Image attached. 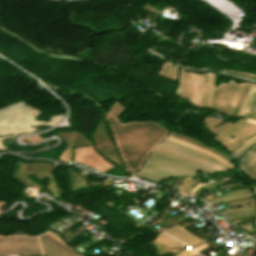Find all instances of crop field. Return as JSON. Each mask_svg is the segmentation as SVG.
<instances>
[{
    "label": "crop field",
    "mask_w": 256,
    "mask_h": 256,
    "mask_svg": "<svg viewBox=\"0 0 256 256\" xmlns=\"http://www.w3.org/2000/svg\"><path fill=\"white\" fill-rule=\"evenodd\" d=\"M108 120L126 164L135 171L148 151L167 133L154 122L119 125L110 116Z\"/></svg>",
    "instance_id": "8a807250"
},
{
    "label": "crop field",
    "mask_w": 256,
    "mask_h": 256,
    "mask_svg": "<svg viewBox=\"0 0 256 256\" xmlns=\"http://www.w3.org/2000/svg\"><path fill=\"white\" fill-rule=\"evenodd\" d=\"M165 140H166V141H169V140H167V139H165ZM169 142H172V141H169ZM169 142L163 141V142L161 143V145H164V146H166V147H169V148L175 149V150H177V151L186 153V154H188V155L194 156V157L199 158V159H201V160H203V161H207V162L213 164L214 166H216V167H217L218 169H220L221 171L227 169V168H226V167H227L226 165H225V166H226V167H225V166H223L224 164L222 165V164H220V163H218V162H216V161H213V160H211V159H209V158H207V157L201 155L202 153L199 154L200 152H199V153H196V152H198V151L193 152V151H195V150L191 149V150H193V151H191V150H188V149H190V148H188V147L183 146V147H185V148H188V149H185V148H183V147H180V146H182V145H180V144H177V143H175V142H172V143H174V144L180 145V146H177V145H174V144L169 143ZM158 147L163 148V147H161V146H158ZM163 149H166V148H163ZM163 149H162V150H163ZM166 150H168V149H166ZM166 150H165V151H166ZM156 151L161 152V153H164V154L169 155V156H171V157L180 159V158H178V157H175V156H173V155L167 154V153L162 152V151H160V150H157V149H156ZM156 151H154L151 156H154V157H156V158L162 159V160H164V161H167V162H169V163H172V164H174V165H177V166H179V167L188 169V170L193 171V172H195L198 167H200V168H202V169H205V170H207V171H213V170H215V169H213V168H212L213 170H210V169H207V168H205V167H202V166L196 165V164H194V163L188 162V161H186V160L180 159V160H182V161H185V162H188V163H191V164H193V165L198 166V167H196V166H193V165H191V164H188V163L179 161V160H177V159L171 158V157H169V156L163 155V154L158 153V152H156ZM169 151H171V150H169ZM169 151H168V152H169ZM172 152H174V151H172ZM172 152H170V153H172ZM174 153H176V152H174ZM174 153H173V154H174ZM177 154H179V153H177ZM177 154H176V155H177ZM179 155H181V154H179ZM179 155H178V156H179ZM204 155H205V154H204ZM151 156L149 157V159H148L146 165L143 167V169L137 174V176H139V177H141V178H143V179H146V180L158 182V181H160V180H162V179H164V178H166V177H179V176H185V175H191V174H193V172H190V171H187V170H185V169L179 168V167H177V166H174V165L169 164V163H167V162H164V161H161V160H159V159L153 158V157H151ZM181 156H184V155H181ZM206 156H208V155H206ZM184 157H186V156H184ZM184 157H183V158H184ZM208 157H210V156H208ZM186 158H189V157H186ZM186 158H185V159H186ZM210 158H212V157H210ZM189 159H192V158H189ZM189 159H188V160H189ZM212 159H213V158H212ZM192 160H194V159H192ZM192 160H190V161H192ZM214 160H215V159H214ZM195 161H197V160H195ZM195 161H192V162H195ZM198 162H199V161H198ZM198 162H195V163H198ZM198 164H200V163H198ZM201 165H202V164H201ZM210 168H211V167H210ZM215 171H217V170H215Z\"/></svg>",
    "instance_id": "ac0d7876"
},
{
    "label": "crop field",
    "mask_w": 256,
    "mask_h": 256,
    "mask_svg": "<svg viewBox=\"0 0 256 256\" xmlns=\"http://www.w3.org/2000/svg\"><path fill=\"white\" fill-rule=\"evenodd\" d=\"M213 84L214 74L207 73V107L231 114L246 83L238 85L230 81L229 84L222 83L215 88Z\"/></svg>",
    "instance_id": "34b2d1b8"
},
{
    "label": "crop field",
    "mask_w": 256,
    "mask_h": 256,
    "mask_svg": "<svg viewBox=\"0 0 256 256\" xmlns=\"http://www.w3.org/2000/svg\"><path fill=\"white\" fill-rule=\"evenodd\" d=\"M38 240L37 237H0V241ZM42 254L38 241L0 242V256Z\"/></svg>",
    "instance_id": "412701ff"
},
{
    "label": "crop field",
    "mask_w": 256,
    "mask_h": 256,
    "mask_svg": "<svg viewBox=\"0 0 256 256\" xmlns=\"http://www.w3.org/2000/svg\"><path fill=\"white\" fill-rule=\"evenodd\" d=\"M247 121H243V120H239V121H237V122H235L233 125H231L230 127H228L226 130H224L223 132H221L220 134H218L217 136H215L214 138H216V139H221L224 135L225 136H227V135H229L231 132H233L234 130H236L237 128H239L240 126H242L243 124H245ZM256 124H254V123H251V122H248V123H246L245 125H243L242 127H240L239 129H237L236 131H234L232 134H230V135H233V136H235V137H238V136H240L241 134H243L245 131H247V130H249L250 128H252L253 126H255ZM256 128V126L255 127H253L252 129H250L249 131H247V132H245L243 135H241L240 137H242V136H244V135H246V134H248V133H250L251 131H253L254 129ZM254 132H256V130H254L253 132H251V133H254ZM250 133V134H251ZM229 135V136H230ZM249 135V134H248ZM229 136H227V137H225V138H222L220 141L222 142V143H224L225 145L226 144H228V143H230L231 141H233L234 139H232L231 137H229ZM247 136V135H246ZM239 137V138H240ZM245 137V136H244ZM239 138H237V139H239ZM243 138V137H242ZM242 138H240L239 140H237V139H235L233 142H235L236 140V142L235 143H230V144H228V145H226V146H229V145H231V146H229L228 147V150H230L231 148H233V146L235 145V144H237Z\"/></svg>",
    "instance_id": "f4fd0767"
},
{
    "label": "crop field",
    "mask_w": 256,
    "mask_h": 256,
    "mask_svg": "<svg viewBox=\"0 0 256 256\" xmlns=\"http://www.w3.org/2000/svg\"><path fill=\"white\" fill-rule=\"evenodd\" d=\"M41 236L44 237L45 239L51 241L52 243L56 244L57 246L63 248L64 250L68 251L69 253H71L75 256H78L72 250H70L69 248L64 246L62 244V242L59 240V238L54 236L53 234L47 232ZM42 237L39 236L44 255H46V256H73V255L69 254L68 252L62 250L61 248L57 247L56 245L45 240Z\"/></svg>",
    "instance_id": "dd49c442"
},
{
    "label": "crop field",
    "mask_w": 256,
    "mask_h": 256,
    "mask_svg": "<svg viewBox=\"0 0 256 256\" xmlns=\"http://www.w3.org/2000/svg\"><path fill=\"white\" fill-rule=\"evenodd\" d=\"M192 80H193V95H192L191 73H188L182 70L179 78L180 85L177 93L180 95L186 96L188 98H190V96L192 95L191 103L195 104V80H194L193 73H192Z\"/></svg>",
    "instance_id": "e52e79f7"
},
{
    "label": "crop field",
    "mask_w": 256,
    "mask_h": 256,
    "mask_svg": "<svg viewBox=\"0 0 256 256\" xmlns=\"http://www.w3.org/2000/svg\"><path fill=\"white\" fill-rule=\"evenodd\" d=\"M165 232L172 235L173 237L183 241L187 245H190L199 240V239H197L198 237L197 238L194 237L193 235H191L184 229L178 227L177 225L165 230Z\"/></svg>",
    "instance_id": "d8731c3e"
},
{
    "label": "crop field",
    "mask_w": 256,
    "mask_h": 256,
    "mask_svg": "<svg viewBox=\"0 0 256 256\" xmlns=\"http://www.w3.org/2000/svg\"><path fill=\"white\" fill-rule=\"evenodd\" d=\"M171 136L176 137V138H178V139H181V140H183V141L189 142V143H191V144L197 145V146H199V147L205 148V149H207V150H209V151H211V152H213V153H215V154H217V155H219V156L225 158V159H226L227 161H229V162L233 160V159H231L230 157L226 156L225 154H223V153H221V152H219V151H217V150H215V149H213V148H211V147H209V146H206V145H204V144H201V143H199V142L196 141V140H193V139H191V138H188V137H186V136H183V135H181V134H178V133L173 132V133L171 134Z\"/></svg>",
    "instance_id": "5a996713"
},
{
    "label": "crop field",
    "mask_w": 256,
    "mask_h": 256,
    "mask_svg": "<svg viewBox=\"0 0 256 256\" xmlns=\"http://www.w3.org/2000/svg\"><path fill=\"white\" fill-rule=\"evenodd\" d=\"M156 241H158L159 243L163 244L164 246H166L167 248L171 249L173 247H177V248H184L186 245L180 243L179 241L173 239L172 237L164 234V233H160L159 237L156 239Z\"/></svg>",
    "instance_id": "3316defc"
},
{
    "label": "crop field",
    "mask_w": 256,
    "mask_h": 256,
    "mask_svg": "<svg viewBox=\"0 0 256 256\" xmlns=\"http://www.w3.org/2000/svg\"><path fill=\"white\" fill-rule=\"evenodd\" d=\"M231 194L220 196L218 198H215L213 200H209L212 204L222 202L227 199H234V198H242V197H249L251 196L249 191L247 189L244 190H238V191H232Z\"/></svg>",
    "instance_id": "28ad6ade"
},
{
    "label": "crop field",
    "mask_w": 256,
    "mask_h": 256,
    "mask_svg": "<svg viewBox=\"0 0 256 256\" xmlns=\"http://www.w3.org/2000/svg\"><path fill=\"white\" fill-rule=\"evenodd\" d=\"M204 122H205L206 128L211 130L212 128H214L215 125L219 124L222 121L221 120H217V119H213V118H208V119L204 120ZM229 125H231V123L227 122V123H224V124H222V125H220L218 127H215L211 131H213V132L218 134L219 132H221L223 129H225Z\"/></svg>",
    "instance_id": "d1516ede"
},
{
    "label": "crop field",
    "mask_w": 256,
    "mask_h": 256,
    "mask_svg": "<svg viewBox=\"0 0 256 256\" xmlns=\"http://www.w3.org/2000/svg\"><path fill=\"white\" fill-rule=\"evenodd\" d=\"M167 139L172 140V141H175V142L180 143V144H182V145L188 146V147H190V148L197 149V150L202 151V152L205 151V150L202 149V148H199V147L193 146V145H191V144H188V143H186V142L180 141V140H178V139H176V138H173V137H171V136L167 137ZM205 153L207 154L208 151H206ZM208 155H210V156H212V157H214V158L218 157V156H216V155H214V154H212V153H210V152L208 153ZM216 159L219 160V161H221V162H223V163H225V164H226L227 166H229L230 168L234 167V166L230 165L227 161H225L224 159H222L221 157H218V158H216Z\"/></svg>",
    "instance_id": "22f410ed"
},
{
    "label": "crop field",
    "mask_w": 256,
    "mask_h": 256,
    "mask_svg": "<svg viewBox=\"0 0 256 256\" xmlns=\"http://www.w3.org/2000/svg\"><path fill=\"white\" fill-rule=\"evenodd\" d=\"M255 209L256 208L244 209V210H238V211H229V212L224 213V214L226 216H230V215H233V214L243 213L241 215L228 217L230 220H234V219H238V218H241V217L254 215Z\"/></svg>",
    "instance_id": "cbeb9de0"
},
{
    "label": "crop field",
    "mask_w": 256,
    "mask_h": 256,
    "mask_svg": "<svg viewBox=\"0 0 256 256\" xmlns=\"http://www.w3.org/2000/svg\"><path fill=\"white\" fill-rule=\"evenodd\" d=\"M177 69H178L177 67H174V66H171L168 64H164L163 69L161 71V75H164L166 77L173 79Z\"/></svg>",
    "instance_id": "5142ce71"
},
{
    "label": "crop field",
    "mask_w": 256,
    "mask_h": 256,
    "mask_svg": "<svg viewBox=\"0 0 256 256\" xmlns=\"http://www.w3.org/2000/svg\"><path fill=\"white\" fill-rule=\"evenodd\" d=\"M200 96H199V103L203 105V74H200ZM204 106L206 107V85H205V73H204Z\"/></svg>",
    "instance_id": "d9b57169"
},
{
    "label": "crop field",
    "mask_w": 256,
    "mask_h": 256,
    "mask_svg": "<svg viewBox=\"0 0 256 256\" xmlns=\"http://www.w3.org/2000/svg\"><path fill=\"white\" fill-rule=\"evenodd\" d=\"M250 86H251V84H249V83L246 84L244 92H243V94H242V96H241V98H240V100H239V102H238L234 112H233L234 115H237V113H238V111H239V109H240V107H241V105H242V103H243V101H244L248 91H249Z\"/></svg>",
    "instance_id": "733c2abd"
},
{
    "label": "crop field",
    "mask_w": 256,
    "mask_h": 256,
    "mask_svg": "<svg viewBox=\"0 0 256 256\" xmlns=\"http://www.w3.org/2000/svg\"><path fill=\"white\" fill-rule=\"evenodd\" d=\"M255 96H256V86H255V88H254V90H253V92H252V94H251V96H250V98H249V100H248V102H247V104H246V106L244 108V111H243L241 116H244V117L246 116V114H247V112H248V110H249V108H250V106H251Z\"/></svg>",
    "instance_id": "4a817a6b"
},
{
    "label": "crop field",
    "mask_w": 256,
    "mask_h": 256,
    "mask_svg": "<svg viewBox=\"0 0 256 256\" xmlns=\"http://www.w3.org/2000/svg\"><path fill=\"white\" fill-rule=\"evenodd\" d=\"M228 71H230V70H228ZM228 71H224V70H223L222 72L227 73V74H232V75L241 76V77L248 78V79H251V80L256 81V79L246 77V76H249V75H252V74L246 75V74H242V73H239V72H236V71H231V72L239 73V74H242V75H246V76H242V75H238V74L231 73V72H228ZM253 76H256V75H253ZM253 76H250V77H253ZM254 78H256V77H254Z\"/></svg>",
    "instance_id": "bc2a9ffb"
},
{
    "label": "crop field",
    "mask_w": 256,
    "mask_h": 256,
    "mask_svg": "<svg viewBox=\"0 0 256 256\" xmlns=\"http://www.w3.org/2000/svg\"><path fill=\"white\" fill-rule=\"evenodd\" d=\"M256 143V139L249 143L246 147H244L238 154L235 155V157H239L241 154H243L251 145Z\"/></svg>",
    "instance_id": "214f88e0"
},
{
    "label": "crop field",
    "mask_w": 256,
    "mask_h": 256,
    "mask_svg": "<svg viewBox=\"0 0 256 256\" xmlns=\"http://www.w3.org/2000/svg\"><path fill=\"white\" fill-rule=\"evenodd\" d=\"M195 79H196V102H198V96H199V79L197 77V74H195Z\"/></svg>",
    "instance_id": "92a150f3"
},
{
    "label": "crop field",
    "mask_w": 256,
    "mask_h": 256,
    "mask_svg": "<svg viewBox=\"0 0 256 256\" xmlns=\"http://www.w3.org/2000/svg\"><path fill=\"white\" fill-rule=\"evenodd\" d=\"M255 138H256V135L253 136V137H251V138L248 139L247 141H245L239 148H237V150H236L235 152L238 153V151H239L240 149H242L245 145H247L249 142H251V141L254 140Z\"/></svg>",
    "instance_id": "dafd665d"
},
{
    "label": "crop field",
    "mask_w": 256,
    "mask_h": 256,
    "mask_svg": "<svg viewBox=\"0 0 256 256\" xmlns=\"http://www.w3.org/2000/svg\"><path fill=\"white\" fill-rule=\"evenodd\" d=\"M253 87H254V84L252 85V87H251V89H250V91H249V93H248V95H247V97H246V99H245V101H244V104H243V106H242V108H241V110H240V112H239V116L241 115V113H242V111H243V108H244V106H245V104H246V102H247V100H248V98H249V96H250V94H251V91H252V89H253Z\"/></svg>",
    "instance_id": "00972430"
},
{
    "label": "crop field",
    "mask_w": 256,
    "mask_h": 256,
    "mask_svg": "<svg viewBox=\"0 0 256 256\" xmlns=\"http://www.w3.org/2000/svg\"><path fill=\"white\" fill-rule=\"evenodd\" d=\"M256 133H254V134H251V135H249L248 137H246V138H244V139H242L232 150H230V151H234L240 144H242L243 143V141L244 140H246V139H248V138H250L251 136H253V135H255Z\"/></svg>",
    "instance_id": "a9b5d70f"
},
{
    "label": "crop field",
    "mask_w": 256,
    "mask_h": 256,
    "mask_svg": "<svg viewBox=\"0 0 256 256\" xmlns=\"http://www.w3.org/2000/svg\"><path fill=\"white\" fill-rule=\"evenodd\" d=\"M253 147L256 148V145H254ZM252 151H254V148L251 147L244 155L247 156V155H249ZM244 155L241 157V159H240L241 161L246 157V156H244Z\"/></svg>",
    "instance_id": "4177f3b9"
},
{
    "label": "crop field",
    "mask_w": 256,
    "mask_h": 256,
    "mask_svg": "<svg viewBox=\"0 0 256 256\" xmlns=\"http://www.w3.org/2000/svg\"><path fill=\"white\" fill-rule=\"evenodd\" d=\"M256 169V163L253 164L252 166H250L248 169H246L245 171L249 174L251 173L252 171H254Z\"/></svg>",
    "instance_id": "730fd06b"
},
{
    "label": "crop field",
    "mask_w": 256,
    "mask_h": 256,
    "mask_svg": "<svg viewBox=\"0 0 256 256\" xmlns=\"http://www.w3.org/2000/svg\"><path fill=\"white\" fill-rule=\"evenodd\" d=\"M202 244H204V242L199 241V242H197L196 244H193V245H190V246L194 249V248H196V247H198V246H200V245H202Z\"/></svg>",
    "instance_id": "eef30255"
},
{
    "label": "crop field",
    "mask_w": 256,
    "mask_h": 256,
    "mask_svg": "<svg viewBox=\"0 0 256 256\" xmlns=\"http://www.w3.org/2000/svg\"><path fill=\"white\" fill-rule=\"evenodd\" d=\"M255 117H256V106H255V108H254V111H253V113H252V115L250 116V119H255Z\"/></svg>",
    "instance_id": "ae1a2a85"
},
{
    "label": "crop field",
    "mask_w": 256,
    "mask_h": 256,
    "mask_svg": "<svg viewBox=\"0 0 256 256\" xmlns=\"http://www.w3.org/2000/svg\"><path fill=\"white\" fill-rule=\"evenodd\" d=\"M256 158V155L253 157V158H251L249 161H247L246 163H244L243 165H242V168L244 167V166H246L248 163H250L252 160H254Z\"/></svg>",
    "instance_id": "d3111659"
},
{
    "label": "crop field",
    "mask_w": 256,
    "mask_h": 256,
    "mask_svg": "<svg viewBox=\"0 0 256 256\" xmlns=\"http://www.w3.org/2000/svg\"><path fill=\"white\" fill-rule=\"evenodd\" d=\"M249 176L253 177L254 179H256V170L254 172H252L251 174H249Z\"/></svg>",
    "instance_id": "750c4746"
},
{
    "label": "crop field",
    "mask_w": 256,
    "mask_h": 256,
    "mask_svg": "<svg viewBox=\"0 0 256 256\" xmlns=\"http://www.w3.org/2000/svg\"><path fill=\"white\" fill-rule=\"evenodd\" d=\"M184 252H186L188 255H190V256H194L193 254H191L189 251H187L186 249L185 250H183Z\"/></svg>",
    "instance_id": "bd1437ed"
},
{
    "label": "crop field",
    "mask_w": 256,
    "mask_h": 256,
    "mask_svg": "<svg viewBox=\"0 0 256 256\" xmlns=\"http://www.w3.org/2000/svg\"><path fill=\"white\" fill-rule=\"evenodd\" d=\"M254 162H256V159L254 161H252L250 164H248L245 168L243 169H246L247 167H249L251 164H253Z\"/></svg>",
    "instance_id": "1d83c4d3"
},
{
    "label": "crop field",
    "mask_w": 256,
    "mask_h": 256,
    "mask_svg": "<svg viewBox=\"0 0 256 256\" xmlns=\"http://www.w3.org/2000/svg\"><path fill=\"white\" fill-rule=\"evenodd\" d=\"M188 250H190L192 253H194L195 255L197 254L196 252H194L191 248H189Z\"/></svg>",
    "instance_id": "120bbe31"
},
{
    "label": "crop field",
    "mask_w": 256,
    "mask_h": 256,
    "mask_svg": "<svg viewBox=\"0 0 256 256\" xmlns=\"http://www.w3.org/2000/svg\"><path fill=\"white\" fill-rule=\"evenodd\" d=\"M202 184H204V183H202ZM202 184L198 183L197 186L202 185ZM197 186H196V187H197ZM196 187H194V189H195ZM194 189H193V190H194ZM193 190H192V191H193ZM192 191H191V192H192Z\"/></svg>",
    "instance_id": "d32e631a"
},
{
    "label": "crop field",
    "mask_w": 256,
    "mask_h": 256,
    "mask_svg": "<svg viewBox=\"0 0 256 256\" xmlns=\"http://www.w3.org/2000/svg\"><path fill=\"white\" fill-rule=\"evenodd\" d=\"M180 254H182L183 256H186V255H185V254H183L182 252H181Z\"/></svg>",
    "instance_id": "5866460e"
},
{
    "label": "crop field",
    "mask_w": 256,
    "mask_h": 256,
    "mask_svg": "<svg viewBox=\"0 0 256 256\" xmlns=\"http://www.w3.org/2000/svg\"><path fill=\"white\" fill-rule=\"evenodd\" d=\"M177 256H180L179 254H177Z\"/></svg>",
    "instance_id": "028f5c9d"
},
{
    "label": "crop field",
    "mask_w": 256,
    "mask_h": 256,
    "mask_svg": "<svg viewBox=\"0 0 256 256\" xmlns=\"http://www.w3.org/2000/svg\"><path fill=\"white\" fill-rule=\"evenodd\" d=\"M205 171V170H204ZM207 172V171H206Z\"/></svg>",
    "instance_id": "e1f06a70"
},
{
    "label": "crop field",
    "mask_w": 256,
    "mask_h": 256,
    "mask_svg": "<svg viewBox=\"0 0 256 256\" xmlns=\"http://www.w3.org/2000/svg\"><path fill=\"white\" fill-rule=\"evenodd\" d=\"M256 191V190H255Z\"/></svg>",
    "instance_id": "0bd39190"
}]
</instances>
